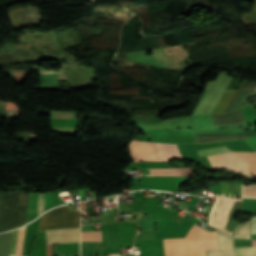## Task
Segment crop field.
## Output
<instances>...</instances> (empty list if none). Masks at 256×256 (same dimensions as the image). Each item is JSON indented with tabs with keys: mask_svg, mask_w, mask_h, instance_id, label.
Wrapping results in <instances>:
<instances>
[{
	"mask_svg": "<svg viewBox=\"0 0 256 256\" xmlns=\"http://www.w3.org/2000/svg\"><path fill=\"white\" fill-rule=\"evenodd\" d=\"M80 211L69 206L53 209L41 216L38 230L79 227ZM79 228L45 231L46 244L79 242Z\"/></svg>",
	"mask_w": 256,
	"mask_h": 256,
	"instance_id": "obj_1",
	"label": "crop field"
},
{
	"mask_svg": "<svg viewBox=\"0 0 256 256\" xmlns=\"http://www.w3.org/2000/svg\"><path fill=\"white\" fill-rule=\"evenodd\" d=\"M255 94H256V90L238 91L224 113L230 112L232 110L241 108L249 104V102H247L245 99L248 96L255 95Z\"/></svg>",
	"mask_w": 256,
	"mask_h": 256,
	"instance_id": "obj_8",
	"label": "crop field"
},
{
	"mask_svg": "<svg viewBox=\"0 0 256 256\" xmlns=\"http://www.w3.org/2000/svg\"><path fill=\"white\" fill-rule=\"evenodd\" d=\"M156 146H157L160 161H166L174 157L181 158L175 144L156 143Z\"/></svg>",
	"mask_w": 256,
	"mask_h": 256,
	"instance_id": "obj_9",
	"label": "crop field"
},
{
	"mask_svg": "<svg viewBox=\"0 0 256 256\" xmlns=\"http://www.w3.org/2000/svg\"><path fill=\"white\" fill-rule=\"evenodd\" d=\"M243 178H249V177H246V176L243 175Z\"/></svg>",
	"mask_w": 256,
	"mask_h": 256,
	"instance_id": "obj_24",
	"label": "crop field"
},
{
	"mask_svg": "<svg viewBox=\"0 0 256 256\" xmlns=\"http://www.w3.org/2000/svg\"><path fill=\"white\" fill-rule=\"evenodd\" d=\"M213 169H226L229 172H240L252 177L244 161L233 152L207 156Z\"/></svg>",
	"mask_w": 256,
	"mask_h": 256,
	"instance_id": "obj_3",
	"label": "crop field"
},
{
	"mask_svg": "<svg viewBox=\"0 0 256 256\" xmlns=\"http://www.w3.org/2000/svg\"><path fill=\"white\" fill-rule=\"evenodd\" d=\"M252 135L244 133H230V134H206V135H195L196 143L198 142H212L220 140H232L249 137Z\"/></svg>",
	"mask_w": 256,
	"mask_h": 256,
	"instance_id": "obj_6",
	"label": "crop field"
},
{
	"mask_svg": "<svg viewBox=\"0 0 256 256\" xmlns=\"http://www.w3.org/2000/svg\"><path fill=\"white\" fill-rule=\"evenodd\" d=\"M248 180H253V181H256V179H248Z\"/></svg>",
	"mask_w": 256,
	"mask_h": 256,
	"instance_id": "obj_23",
	"label": "crop field"
},
{
	"mask_svg": "<svg viewBox=\"0 0 256 256\" xmlns=\"http://www.w3.org/2000/svg\"><path fill=\"white\" fill-rule=\"evenodd\" d=\"M101 242H81V256L100 255Z\"/></svg>",
	"mask_w": 256,
	"mask_h": 256,
	"instance_id": "obj_12",
	"label": "crop field"
},
{
	"mask_svg": "<svg viewBox=\"0 0 256 256\" xmlns=\"http://www.w3.org/2000/svg\"><path fill=\"white\" fill-rule=\"evenodd\" d=\"M81 241H101V232L100 231L81 232Z\"/></svg>",
	"mask_w": 256,
	"mask_h": 256,
	"instance_id": "obj_13",
	"label": "crop field"
},
{
	"mask_svg": "<svg viewBox=\"0 0 256 256\" xmlns=\"http://www.w3.org/2000/svg\"><path fill=\"white\" fill-rule=\"evenodd\" d=\"M44 212V193H38V209L37 215Z\"/></svg>",
	"mask_w": 256,
	"mask_h": 256,
	"instance_id": "obj_17",
	"label": "crop field"
},
{
	"mask_svg": "<svg viewBox=\"0 0 256 256\" xmlns=\"http://www.w3.org/2000/svg\"><path fill=\"white\" fill-rule=\"evenodd\" d=\"M252 246H256V240H252Z\"/></svg>",
	"mask_w": 256,
	"mask_h": 256,
	"instance_id": "obj_21",
	"label": "crop field"
},
{
	"mask_svg": "<svg viewBox=\"0 0 256 256\" xmlns=\"http://www.w3.org/2000/svg\"><path fill=\"white\" fill-rule=\"evenodd\" d=\"M24 229H25V226L19 229L15 255H9V256H21L23 237H24Z\"/></svg>",
	"mask_w": 256,
	"mask_h": 256,
	"instance_id": "obj_15",
	"label": "crop field"
},
{
	"mask_svg": "<svg viewBox=\"0 0 256 256\" xmlns=\"http://www.w3.org/2000/svg\"><path fill=\"white\" fill-rule=\"evenodd\" d=\"M244 141L256 150V136L244 139Z\"/></svg>",
	"mask_w": 256,
	"mask_h": 256,
	"instance_id": "obj_18",
	"label": "crop field"
},
{
	"mask_svg": "<svg viewBox=\"0 0 256 256\" xmlns=\"http://www.w3.org/2000/svg\"><path fill=\"white\" fill-rule=\"evenodd\" d=\"M212 119L214 126L246 123L240 110L224 116L212 115Z\"/></svg>",
	"mask_w": 256,
	"mask_h": 256,
	"instance_id": "obj_7",
	"label": "crop field"
},
{
	"mask_svg": "<svg viewBox=\"0 0 256 256\" xmlns=\"http://www.w3.org/2000/svg\"><path fill=\"white\" fill-rule=\"evenodd\" d=\"M256 232V219L251 221V233Z\"/></svg>",
	"mask_w": 256,
	"mask_h": 256,
	"instance_id": "obj_20",
	"label": "crop field"
},
{
	"mask_svg": "<svg viewBox=\"0 0 256 256\" xmlns=\"http://www.w3.org/2000/svg\"><path fill=\"white\" fill-rule=\"evenodd\" d=\"M164 256H205L204 250L218 249L216 232L193 225L185 238L163 239Z\"/></svg>",
	"mask_w": 256,
	"mask_h": 256,
	"instance_id": "obj_2",
	"label": "crop field"
},
{
	"mask_svg": "<svg viewBox=\"0 0 256 256\" xmlns=\"http://www.w3.org/2000/svg\"><path fill=\"white\" fill-rule=\"evenodd\" d=\"M96 256H99V255H96Z\"/></svg>",
	"mask_w": 256,
	"mask_h": 256,
	"instance_id": "obj_25",
	"label": "crop field"
},
{
	"mask_svg": "<svg viewBox=\"0 0 256 256\" xmlns=\"http://www.w3.org/2000/svg\"><path fill=\"white\" fill-rule=\"evenodd\" d=\"M230 150L226 147L222 148H215V149H207V150H200L197 151L199 156H205V155H210V154H216V153H223V152H229Z\"/></svg>",
	"mask_w": 256,
	"mask_h": 256,
	"instance_id": "obj_16",
	"label": "crop field"
},
{
	"mask_svg": "<svg viewBox=\"0 0 256 256\" xmlns=\"http://www.w3.org/2000/svg\"><path fill=\"white\" fill-rule=\"evenodd\" d=\"M237 91H224L212 114H223Z\"/></svg>",
	"mask_w": 256,
	"mask_h": 256,
	"instance_id": "obj_10",
	"label": "crop field"
},
{
	"mask_svg": "<svg viewBox=\"0 0 256 256\" xmlns=\"http://www.w3.org/2000/svg\"><path fill=\"white\" fill-rule=\"evenodd\" d=\"M108 256H121V255H119V254H113V255H108Z\"/></svg>",
	"mask_w": 256,
	"mask_h": 256,
	"instance_id": "obj_22",
	"label": "crop field"
},
{
	"mask_svg": "<svg viewBox=\"0 0 256 256\" xmlns=\"http://www.w3.org/2000/svg\"><path fill=\"white\" fill-rule=\"evenodd\" d=\"M219 250L206 251V256H234L231 247V238L217 232Z\"/></svg>",
	"mask_w": 256,
	"mask_h": 256,
	"instance_id": "obj_5",
	"label": "crop field"
},
{
	"mask_svg": "<svg viewBox=\"0 0 256 256\" xmlns=\"http://www.w3.org/2000/svg\"><path fill=\"white\" fill-rule=\"evenodd\" d=\"M240 89H256V83H244Z\"/></svg>",
	"mask_w": 256,
	"mask_h": 256,
	"instance_id": "obj_19",
	"label": "crop field"
},
{
	"mask_svg": "<svg viewBox=\"0 0 256 256\" xmlns=\"http://www.w3.org/2000/svg\"><path fill=\"white\" fill-rule=\"evenodd\" d=\"M237 256H256V247L235 248Z\"/></svg>",
	"mask_w": 256,
	"mask_h": 256,
	"instance_id": "obj_14",
	"label": "crop field"
},
{
	"mask_svg": "<svg viewBox=\"0 0 256 256\" xmlns=\"http://www.w3.org/2000/svg\"><path fill=\"white\" fill-rule=\"evenodd\" d=\"M151 176L165 175V176H189L187 167L179 169H150Z\"/></svg>",
	"mask_w": 256,
	"mask_h": 256,
	"instance_id": "obj_11",
	"label": "crop field"
},
{
	"mask_svg": "<svg viewBox=\"0 0 256 256\" xmlns=\"http://www.w3.org/2000/svg\"><path fill=\"white\" fill-rule=\"evenodd\" d=\"M129 146L135 162L159 161L155 144L130 141Z\"/></svg>",
	"mask_w": 256,
	"mask_h": 256,
	"instance_id": "obj_4",
	"label": "crop field"
}]
</instances>
